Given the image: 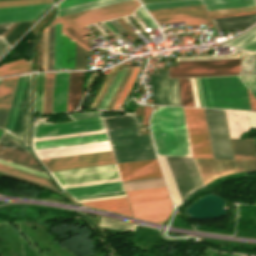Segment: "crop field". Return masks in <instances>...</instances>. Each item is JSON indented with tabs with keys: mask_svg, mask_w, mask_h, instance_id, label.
Here are the masks:
<instances>
[{
	"mask_svg": "<svg viewBox=\"0 0 256 256\" xmlns=\"http://www.w3.org/2000/svg\"><path fill=\"white\" fill-rule=\"evenodd\" d=\"M29 71H31L29 64L23 59H21L14 62L2 64V67H0V76L29 72Z\"/></svg>",
	"mask_w": 256,
	"mask_h": 256,
	"instance_id": "obj_37",
	"label": "crop field"
},
{
	"mask_svg": "<svg viewBox=\"0 0 256 256\" xmlns=\"http://www.w3.org/2000/svg\"><path fill=\"white\" fill-rule=\"evenodd\" d=\"M103 121L106 129L139 125L132 115L103 118Z\"/></svg>",
	"mask_w": 256,
	"mask_h": 256,
	"instance_id": "obj_36",
	"label": "crop field"
},
{
	"mask_svg": "<svg viewBox=\"0 0 256 256\" xmlns=\"http://www.w3.org/2000/svg\"><path fill=\"white\" fill-rule=\"evenodd\" d=\"M225 45L256 51V26Z\"/></svg>",
	"mask_w": 256,
	"mask_h": 256,
	"instance_id": "obj_32",
	"label": "crop field"
},
{
	"mask_svg": "<svg viewBox=\"0 0 256 256\" xmlns=\"http://www.w3.org/2000/svg\"><path fill=\"white\" fill-rule=\"evenodd\" d=\"M0 170L52 186L48 179L0 164Z\"/></svg>",
	"mask_w": 256,
	"mask_h": 256,
	"instance_id": "obj_39",
	"label": "crop field"
},
{
	"mask_svg": "<svg viewBox=\"0 0 256 256\" xmlns=\"http://www.w3.org/2000/svg\"><path fill=\"white\" fill-rule=\"evenodd\" d=\"M153 91L154 104L180 106L177 79H167V71L148 74Z\"/></svg>",
	"mask_w": 256,
	"mask_h": 256,
	"instance_id": "obj_11",
	"label": "crop field"
},
{
	"mask_svg": "<svg viewBox=\"0 0 256 256\" xmlns=\"http://www.w3.org/2000/svg\"><path fill=\"white\" fill-rule=\"evenodd\" d=\"M231 138H239L240 134L247 131L249 126L246 112L225 110ZM236 114V116H233ZM238 123V125H235Z\"/></svg>",
	"mask_w": 256,
	"mask_h": 256,
	"instance_id": "obj_27",
	"label": "crop field"
},
{
	"mask_svg": "<svg viewBox=\"0 0 256 256\" xmlns=\"http://www.w3.org/2000/svg\"><path fill=\"white\" fill-rule=\"evenodd\" d=\"M62 188L121 181L116 165H103L51 172Z\"/></svg>",
	"mask_w": 256,
	"mask_h": 256,
	"instance_id": "obj_6",
	"label": "crop field"
},
{
	"mask_svg": "<svg viewBox=\"0 0 256 256\" xmlns=\"http://www.w3.org/2000/svg\"><path fill=\"white\" fill-rule=\"evenodd\" d=\"M94 26L105 36L107 35L97 24H94Z\"/></svg>",
	"mask_w": 256,
	"mask_h": 256,
	"instance_id": "obj_70",
	"label": "crop field"
},
{
	"mask_svg": "<svg viewBox=\"0 0 256 256\" xmlns=\"http://www.w3.org/2000/svg\"><path fill=\"white\" fill-rule=\"evenodd\" d=\"M253 10H256V6L232 8V9H222V10H212V11H208V12L210 15H214V14L234 13V12L253 11Z\"/></svg>",
	"mask_w": 256,
	"mask_h": 256,
	"instance_id": "obj_54",
	"label": "crop field"
},
{
	"mask_svg": "<svg viewBox=\"0 0 256 256\" xmlns=\"http://www.w3.org/2000/svg\"><path fill=\"white\" fill-rule=\"evenodd\" d=\"M252 5H256L254 0L209 4V5H205V7L207 8V10H212V9H222V8H232V7H242V6H252Z\"/></svg>",
	"mask_w": 256,
	"mask_h": 256,
	"instance_id": "obj_45",
	"label": "crop field"
},
{
	"mask_svg": "<svg viewBox=\"0 0 256 256\" xmlns=\"http://www.w3.org/2000/svg\"><path fill=\"white\" fill-rule=\"evenodd\" d=\"M158 158L161 162L163 173H164L169 191L171 193V196L174 200V203H175L176 207H178L182 203V201H181V198L179 196L178 190L176 188V185H175L174 179L172 177L171 171L169 169L168 163L166 161V158L162 157V156H158Z\"/></svg>",
	"mask_w": 256,
	"mask_h": 256,
	"instance_id": "obj_34",
	"label": "crop field"
},
{
	"mask_svg": "<svg viewBox=\"0 0 256 256\" xmlns=\"http://www.w3.org/2000/svg\"><path fill=\"white\" fill-rule=\"evenodd\" d=\"M210 22H211L210 19H205V20L189 21V22H186V24L187 26H191V25L208 24Z\"/></svg>",
	"mask_w": 256,
	"mask_h": 256,
	"instance_id": "obj_61",
	"label": "crop field"
},
{
	"mask_svg": "<svg viewBox=\"0 0 256 256\" xmlns=\"http://www.w3.org/2000/svg\"><path fill=\"white\" fill-rule=\"evenodd\" d=\"M69 73H55L52 113L66 111Z\"/></svg>",
	"mask_w": 256,
	"mask_h": 256,
	"instance_id": "obj_19",
	"label": "crop field"
},
{
	"mask_svg": "<svg viewBox=\"0 0 256 256\" xmlns=\"http://www.w3.org/2000/svg\"><path fill=\"white\" fill-rule=\"evenodd\" d=\"M51 3V0H14L0 2V8Z\"/></svg>",
	"mask_w": 256,
	"mask_h": 256,
	"instance_id": "obj_44",
	"label": "crop field"
},
{
	"mask_svg": "<svg viewBox=\"0 0 256 256\" xmlns=\"http://www.w3.org/2000/svg\"><path fill=\"white\" fill-rule=\"evenodd\" d=\"M229 1H239V0H202L203 4L229 2Z\"/></svg>",
	"mask_w": 256,
	"mask_h": 256,
	"instance_id": "obj_63",
	"label": "crop field"
},
{
	"mask_svg": "<svg viewBox=\"0 0 256 256\" xmlns=\"http://www.w3.org/2000/svg\"><path fill=\"white\" fill-rule=\"evenodd\" d=\"M82 136V138H80ZM95 139V141H94ZM104 130L33 139V149L107 141ZM109 142L34 150L39 159L107 151Z\"/></svg>",
	"mask_w": 256,
	"mask_h": 256,
	"instance_id": "obj_2",
	"label": "crop field"
},
{
	"mask_svg": "<svg viewBox=\"0 0 256 256\" xmlns=\"http://www.w3.org/2000/svg\"><path fill=\"white\" fill-rule=\"evenodd\" d=\"M17 77L2 79L0 83V127H4Z\"/></svg>",
	"mask_w": 256,
	"mask_h": 256,
	"instance_id": "obj_20",
	"label": "crop field"
},
{
	"mask_svg": "<svg viewBox=\"0 0 256 256\" xmlns=\"http://www.w3.org/2000/svg\"><path fill=\"white\" fill-rule=\"evenodd\" d=\"M75 42L62 34L60 69H74Z\"/></svg>",
	"mask_w": 256,
	"mask_h": 256,
	"instance_id": "obj_30",
	"label": "crop field"
},
{
	"mask_svg": "<svg viewBox=\"0 0 256 256\" xmlns=\"http://www.w3.org/2000/svg\"><path fill=\"white\" fill-rule=\"evenodd\" d=\"M141 3H149V2H160V1H171V0H140Z\"/></svg>",
	"mask_w": 256,
	"mask_h": 256,
	"instance_id": "obj_67",
	"label": "crop field"
},
{
	"mask_svg": "<svg viewBox=\"0 0 256 256\" xmlns=\"http://www.w3.org/2000/svg\"><path fill=\"white\" fill-rule=\"evenodd\" d=\"M181 106L194 107L188 78L178 79Z\"/></svg>",
	"mask_w": 256,
	"mask_h": 256,
	"instance_id": "obj_38",
	"label": "crop field"
},
{
	"mask_svg": "<svg viewBox=\"0 0 256 256\" xmlns=\"http://www.w3.org/2000/svg\"><path fill=\"white\" fill-rule=\"evenodd\" d=\"M140 4L136 1H129L121 4H116L108 7H103L91 11H86L78 14H73L57 19H53L52 23L62 22V33L73 39L85 49L90 51L87 47L91 46L82 37L90 34L89 31L84 30V25L99 21H104L112 18H117L133 13L134 9Z\"/></svg>",
	"mask_w": 256,
	"mask_h": 256,
	"instance_id": "obj_3",
	"label": "crop field"
},
{
	"mask_svg": "<svg viewBox=\"0 0 256 256\" xmlns=\"http://www.w3.org/2000/svg\"><path fill=\"white\" fill-rule=\"evenodd\" d=\"M41 161L49 171L115 163L111 151Z\"/></svg>",
	"mask_w": 256,
	"mask_h": 256,
	"instance_id": "obj_10",
	"label": "crop field"
},
{
	"mask_svg": "<svg viewBox=\"0 0 256 256\" xmlns=\"http://www.w3.org/2000/svg\"><path fill=\"white\" fill-rule=\"evenodd\" d=\"M50 5L0 9V23L36 20Z\"/></svg>",
	"mask_w": 256,
	"mask_h": 256,
	"instance_id": "obj_17",
	"label": "crop field"
},
{
	"mask_svg": "<svg viewBox=\"0 0 256 256\" xmlns=\"http://www.w3.org/2000/svg\"><path fill=\"white\" fill-rule=\"evenodd\" d=\"M237 172L256 169L254 140L231 139Z\"/></svg>",
	"mask_w": 256,
	"mask_h": 256,
	"instance_id": "obj_16",
	"label": "crop field"
},
{
	"mask_svg": "<svg viewBox=\"0 0 256 256\" xmlns=\"http://www.w3.org/2000/svg\"><path fill=\"white\" fill-rule=\"evenodd\" d=\"M87 50L76 43L75 69H86Z\"/></svg>",
	"mask_w": 256,
	"mask_h": 256,
	"instance_id": "obj_46",
	"label": "crop field"
},
{
	"mask_svg": "<svg viewBox=\"0 0 256 256\" xmlns=\"http://www.w3.org/2000/svg\"><path fill=\"white\" fill-rule=\"evenodd\" d=\"M238 54H242L240 74L256 75V53L245 52L243 50L235 49L234 53L221 56H202V57H179V60H196V59H224V58H238Z\"/></svg>",
	"mask_w": 256,
	"mask_h": 256,
	"instance_id": "obj_18",
	"label": "crop field"
},
{
	"mask_svg": "<svg viewBox=\"0 0 256 256\" xmlns=\"http://www.w3.org/2000/svg\"><path fill=\"white\" fill-rule=\"evenodd\" d=\"M83 73H70L67 111L77 108L80 102Z\"/></svg>",
	"mask_w": 256,
	"mask_h": 256,
	"instance_id": "obj_29",
	"label": "crop field"
},
{
	"mask_svg": "<svg viewBox=\"0 0 256 256\" xmlns=\"http://www.w3.org/2000/svg\"><path fill=\"white\" fill-rule=\"evenodd\" d=\"M140 19H142L151 29L157 28L156 24L152 21V19L149 17V15L146 13V11L143 9V7H140L135 12Z\"/></svg>",
	"mask_w": 256,
	"mask_h": 256,
	"instance_id": "obj_56",
	"label": "crop field"
},
{
	"mask_svg": "<svg viewBox=\"0 0 256 256\" xmlns=\"http://www.w3.org/2000/svg\"><path fill=\"white\" fill-rule=\"evenodd\" d=\"M217 30L249 27L256 23V14L212 19Z\"/></svg>",
	"mask_w": 256,
	"mask_h": 256,
	"instance_id": "obj_26",
	"label": "crop field"
},
{
	"mask_svg": "<svg viewBox=\"0 0 256 256\" xmlns=\"http://www.w3.org/2000/svg\"><path fill=\"white\" fill-rule=\"evenodd\" d=\"M67 116L74 122L52 124L46 123L45 118L38 119L34 123L33 138L104 129L101 111L80 112Z\"/></svg>",
	"mask_w": 256,
	"mask_h": 256,
	"instance_id": "obj_5",
	"label": "crop field"
},
{
	"mask_svg": "<svg viewBox=\"0 0 256 256\" xmlns=\"http://www.w3.org/2000/svg\"><path fill=\"white\" fill-rule=\"evenodd\" d=\"M28 75L18 77L14 95L12 98L11 106L7 116L4 129L12 135L15 120L19 110L20 102L24 92L25 84ZM31 84L32 74L29 75L25 92L23 95L22 103L18 113L17 121L14 128L13 137L20 141L22 144L28 146V134H29V120H30V104H31Z\"/></svg>",
	"mask_w": 256,
	"mask_h": 256,
	"instance_id": "obj_4",
	"label": "crop field"
},
{
	"mask_svg": "<svg viewBox=\"0 0 256 256\" xmlns=\"http://www.w3.org/2000/svg\"><path fill=\"white\" fill-rule=\"evenodd\" d=\"M130 204L170 199L166 187L126 192Z\"/></svg>",
	"mask_w": 256,
	"mask_h": 256,
	"instance_id": "obj_22",
	"label": "crop field"
},
{
	"mask_svg": "<svg viewBox=\"0 0 256 256\" xmlns=\"http://www.w3.org/2000/svg\"><path fill=\"white\" fill-rule=\"evenodd\" d=\"M115 35L119 34V32L114 28V26L109 22H103Z\"/></svg>",
	"mask_w": 256,
	"mask_h": 256,
	"instance_id": "obj_64",
	"label": "crop field"
},
{
	"mask_svg": "<svg viewBox=\"0 0 256 256\" xmlns=\"http://www.w3.org/2000/svg\"><path fill=\"white\" fill-rule=\"evenodd\" d=\"M125 1H129V0H99V1L91 2V3H87V4L75 6V7L59 9L57 10V15L55 18L90 10V9H95L103 6H108V5H112L120 2H125Z\"/></svg>",
	"mask_w": 256,
	"mask_h": 256,
	"instance_id": "obj_31",
	"label": "crop field"
},
{
	"mask_svg": "<svg viewBox=\"0 0 256 256\" xmlns=\"http://www.w3.org/2000/svg\"><path fill=\"white\" fill-rule=\"evenodd\" d=\"M239 77L256 98V77H250V76H239Z\"/></svg>",
	"mask_w": 256,
	"mask_h": 256,
	"instance_id": "obj_55",
	"label": "crop field"
},
{
	"mask_svg": "<svg viewBox=\"0 0 256 256\" xmlns=\"http://www.w3.org/2000/svg\"><path fill=\"white\" fill-rule=\"evenodd\" d=\"M133 68L129 67L126 74L124 75L122 81L120 82L118 88L116 89L114 95L112 96L110 102L108 103L106 109H112L113 105L115 104L117 98L119 97L120 93L122 92L131 72H132Z\"/></svg>",
	"mask_w": 256,
	"mask_h": 256,
	"instance_id": "obj_48",
	"label": "crop field"
},
{
	"mask_svg": "<svg viewBox=\"0 0 256 256\" xmlns=\"http://www.w3.org/2000/svg\"><path fill=\"white\" fill-rule=\"evenodd\" d=\"M0 159L43 172L35 159L0 149Z\"/></svg>",
	"mask_w": 256,
	"mask_h": 256,
	"instance_id": "obj_33",
	"label": "crop field"
},
{
	"mask_svg": "<svg viewBox=\"0 0 256 256\" xmlns=\"http://www.w3.org/2000/svg\"><path fill=\"white\" fill-rule=\"evenodd\" d=\"M91 1H95V0H63L57 5V9L75 6V5H79V4H83Z\"/></svg>",
	"mask_w": 256,
	"mask_h": 256,
	"instance_id": "obj_57",
	"label": "crop field"
},
{
	"mask_svg": "<svg viewBox=\"0 0 256 256\" xmlns=\"http://www.w3.org/2000/svg\"><path fill=\"white\" fill-rule=\"evenodd\" d=\"M126 69L127 68L124 67L122 71L118 72L117 76L115 77L114 81L112 82L111 86L109 87L107 93L105 94V96L102 99L101 103L99 104L98 108L105 109L107 103L109 102L111 96L113 95L115 89L117 88L119 82L121 81Z\"/></svg>",
	"mask_w": 256,
	"mask_h": 256,
	"instance_id": "obj_43",
	"label": "crop field"
},
{
	"mask_svg": "<svg viewBox=\"0 0 256 256\" xmlns=\"http://www.w3.org/2000/svg\"><path fill=\"white\" fill-rule=\"evenodd\" d=\"M183 110L193 157L213 158L203 109Z\"/></svg>",
	"mask_w": 256,
	"mask_h": 256,
	"instance_id": "obj_9",
	"label": "crop field"
},
{
	"mask_svg": "<svg viewBox=\"0 0 256 256\" xmlns=\"http://www.w3.org/2000/svg\"><path fill=\"white\" fill-rule=\"evenodd\" d=\"M79 204L92 207V208H97L101 210L112 211V212H116V213H120L128 216H132L126 197L83 202Z\"/></svg>",
	"mask_w": 256,
	"mask_h": 256,
	"instance_id": "obj_21",
	"label": "crop field"
},
{
	"mask_svg": "<svg viewBox=\"0 0 256 256\" xmlns=\"http://www.w3.org/2000/svg\"><path fill=\"white\" fill-rule=\"evenodd\" d=\"M9 47L8 45L5 43V41L2 39V37H0V55L7 50Z\"/></svg>",
	"mask_w": 256,
	"mask_h": 256,
	"instance_id": "obj_62",
	"label": "crop field"
},
{
	"mask_svg": "<svg viewBox=\"0 0 256 256\" xmlns=\"http://www.w3.org/2000/svg\"><path fill=\"white\" fill-rule=\"evenodd\" d=\"M72 197L124 191L121 182L65 189Z\"/></svg>",
	"mask_w": 256,
	"mask_h": 256,
	"instance_id": "obj_23",
	"label": "crop field"
},
{
	"mask_svg": "<svg viewBox=\"0 0 256 256\" xmlns=\"http://www.w3.org/2000/svg\"><path fill=\"white\" fill-rule=\"evenodd\" d=\"M61 23L56 24L54 69H59Z\"/></svg>",
	"mask_w": 256,
	"mask_h": 256,
	"instance_id": "obj_50",
	"label": "crop field"
},
{
	"mask_svg": "<svg viewBox=\"0 0 256 256\" xmlns=\"http://www.w3.org/2000/svg\"><path fill=\"white\" fill-rule=\"evenodd\" d=\"M91 96H92V94H86V96H85V98L83 99V101L81 102V106H86L87 105V103H88V101L90 100V98H91Z\"/></svg>",
	"mask_w": 256,
	"mask_h": 256,
	"instance_id": "obj_66",
	"label": "crop field"
},
{
	"mask_svg": "<svg viewBox=\"0 0 256 256\" xmlns=\"http://www.w3.org/2000/svg\"><path fill=\"white\" fill-rule=\"evenodd\" d=\"M117 165L123 181L162 176L157 159Z\"/></svg>",
	"mask_w": 256,
	"mask_h": 256,
	"instance_id": "obj_13",
	"label": "crop field"
},
{
	"mask_svg": "<svg viewBox=\"0 0 256 256\" xmlns=\"http://www.w3.org/2000/svg\"><path fill=\"white\" fill-rule=\"evenodd\" d=\"M154 19L206 13L203 5L149 11Z\"/></svg>",
	"mask_w": 256,
	"mask_h": 256,
	"instance_id": "obj_28",
	"label": "crop field"
},
{
	"mask_svg": "<svg viewBox=\"0 0 256 256\" xmlns=\"http://www.w3.org/2000/svg\"><path fill=\"white\" fill-rule=\"evenodd\" d=\"M13 23L0 24V29L9 28Z\"/></svg>",
	"mask_w": 256,
	"mask_h": 256,
	"instance_id": "obj_68",
	"label": "crop field"
},
{
	"mask_svg": "<svg viewBox=\"0 0 256 256\" xmlns=\"http://www.w3.org/2000/svg\"><path fill=\"white\" fill-rule=\"evenodd\" d=\"M130 206L134 217L165 224L170 214L172 204L170 200H166Z\"/></svg>",
	"mask_w": 256,
	"mask_h": 256,
	"instance_id": "obj_14",
	"label": "crop field"
},
{
	"mask_svg": "<svg viewBox=\"0 0 256 256\" xmlns=\"http://www.w3.org/2000/svg\"><path fill=\"white\" fill-rule=\"evenodd\" d=\"M112 149L153 145L151 135H139L138 126L106 130Z\"/></svg>",
	"mask_w": 256,
	"mask_h": 256,
	"instance_id": "obj_12",
	"label": "crop field"
},
{
	"mask_svg": "<svg viewBox=\"0 0 256 256\" xmlns=\"http://www.w3.org/2000/svg\"><path fill=\"white\" fill-rule=\"evenodd\" d=\"M172 109H173L181 154L182 156L192 157L184 115H183V110L182 108H177V107H172Z\"/></svg>",
	"mask_w": 256,
	"mask_h": 256,
	"instance_id": "obj_25",
	"label": "crop field"
},
{
	"mask_svg": "<svg viewBox=\"0 0 256 256\" xmlns=\"http://www.w3.org/2000/svg\"><path fill=\"white\" fill-rule=\"evenodd\" d=\"M0 81H1V79H0Z\"/></svg>",
	"mask_w": 256,
	"mask_h": 256,
	"instance_id": "obj_73",
	"label": "crop field"
},
{
	"mask_svg": "<svg viewBox=\"0 0 256 256\" xmlns=\"http://www.w3.org/2000/svg\"><path fill=\"white\" fill-rule=\"evenodd\" d=\"M55 24L49 25L48 69H53Z\"/></svg>",
	"mask_w": 256,
	"mask_h": 256,
	"instance_id": "obj_49",
	"label": "crop field"
},
{
	"mask_svg": "<svg viewBox=\"0 0 256 256\" xmlns=\"http://www.w3.org/2000/svg\"><path fill=\"white\" fill-rule=\"evenodd\" d=\"M99 225L116 230H133L135 224L102 217Z\"/></svg>",
	"mask_w": 256,
	"mask_h": 256,
	"instance_id": "obj_40",
	"label": "crop field"
},
{
	"mask_svg": "<svg viewBox=\"0 0 256 256\" xmlns=\"http://www.w3.org/2000/svg\"><path fill=\"white\" fill-rule=\"evenodd\" d=\"M117 67H118V66H116V67H114V68L112 69L110 75L108 76L107 80L105 81L104 85L102 86L100 92L98 93L97 97L95 98L94 102L92 103L91 108H93L95 102L97 101L98 97L100 96V94H101L102 90L104 89L105 85L107 84L109 78L111 77L112 73L116 71Z\"/></svg>",
	"mask_w": 256,
	"mask_h": 256,
	"instance_id": "obj_60",
	"label": "crop field"
},
{
	"mask_svg": "<svg viewBox=\"0 0 256 256\" xmlns=\"http://www.w3.org/2000/svg\"><path fill=\"white\" fill-rule=\"evenodd\" d=\"M121 33L125 32V30L121 27V25L116 21L112 20L110 21Z\"/></svg>",
	"mask_w": 256,
	"mask_h": 256,
	"instance_id": "obj_65",
	"label": "crop field"
},
{
	"mask_svg": "<svg viewBox=\"0 0 256 256\" xmlns=\"http://www.w3.org/2000/svg\"><path fill=\"white\" fill-rule=\"evenodd\" d=\"M196 107L250 110L238 76L190 78Z\"/></svg>",
	"mask_w": 256,
	"mask_h": 256,
	"instance_id": "obj_1",
	"label": "crop field"
},
{
	"mask_svg": "<svg viewBox=\"0 0 256 256\" xmlns=\"http://www.w3.org/2000/svg\"><path fill=\"white\" fill-rule=\"evenodd\" d=\"M54 73H45L43 93V113H51Z\"/></svg>",
	"mask_w": 256,
	"mask_h": 256,
	"instance_id": "obj_35",
	"label": "crop field"
},
{
	"mask_svg": "<svg viewBox=\"0 0 256 256\" xmlns=\"http://www.w3.org/2000/svg\"><path fill=\"white\" fill-rule=\"evenodd\" d=\"M18 23H15L4 35L3 37L5 38L9 33L10 31L17 25Z\"/></svg>",
	"mask_w": 256,
	"mask_h": 256,
	"instance_id": "obj_69",
	"label": "crop field"
},
{
	"mask_svg": "<svg viewBox=\"0 0 256 256\" xmlns=\"http://www.w3.org/2000/svg\"><path fill=\"white\" fill-rule=\"evenodd\" d=\"M122 196H126L124 192L112 193V194H103V195H94V196H86V197H77V198H74V199L77 200L78 202H82V201H90V200L122 197Z\"/></svg>",
	"mask_w": 256,
	"mask_h": 256,
	"instance_id": "obj_52",
	"label": "crop field"
},
{
	"mask_svg": "<svg viewBox=\"0 0 256 256\" xmlns=\"http://www.w3.org/2000/svg\"><path fill=\"white\" fill-rule=\"evenodd\" d=\"M240 59L177 62L169 78L238 74Z\"/></svg>",
	"mask_w": 256,
	"mask_h": 256,
	"instance_id": "obj_8",
	"label": "crop field"
},
{
	"mask_svg": "<svg viewBox=\"0 0 256 256\" xmlns=\"http://www.w3.org/2000/svg\"><path fill=\"white\" fill-rule=\"evenodd\" d=\"M198 4H201L200 0H185V1L149 4L144 6L146 7L147 10H152V9L180 7V6H189V5H198Z\"/></svg>",
	"mask_w": 256,
	"mask_h": 256,
	"instance_id": "obj_41",
	"label": "crop field"
},
{
	"mask_svg": "<svg viewBox=\"0 0 256 256\" xmlns=\"http://www.w3.org/2000/svg\"><path fill=\"white\" fill-rule=\"evenodd\" d=\"M205 18H209L207 14L177 17V18H168V19H159V20H156V21L158 22V24H163V23L197 20V19H205Z\"/></svg>",
	"mask_w": 256,
	"mask_h": 256,
	"instance_id": "obj_51",
	"label": "crop field"
},
{
	"mask_svg": "<svg viewBox=\"0 0 256 256\" xmlns=\"http://www.w3.org/2000/svg\"><path fill=\"white\" fill-rule=\"evenodd\" d=\"M151 128L158 155L181 156L171 107L158 106Z\"/></svg>",
	"mask_w": 256,
	"mask_h": 256,
	"instance_id": "obj_7",
	"label": "crop field"
},
{
	"mask_svg": "<svg viewBox=\"0 0 256 256\" xmlns=\"http://www.w3.org/2000/svg\"><path fill=\"white\" fill-rule=\"evenodd\" d=\"M0 144L1 145H4V146H8V147H11V148H14V149H17V150H20V151H24V152H27L29 153L28 150H26L25 148H23L18 142H16L13 138L7 136V135H3L1 138H0Z\"/></svg>",
	"mask_w": 256,
	"mask_h": 256,
	"instance_id": "obj_53",
	"label": "crop field"
},
{
	"mask_svg": "<svg viewBox=\"0 0 256 256\" xmlns=\"http://www.w3.org/2000/svg\"><path fill=\"white\" fill-rule=\"evenodd\" d=\"M2 133H3V132H0V136H1Z\"/></svg>",
	"mask_w": 256,
	"mask_h": 256,
	"instance_id": "obj_72",
	"label": "crop field"
},
{
	"mask_svg": "<svg viewBox=\"0 0 256 256\" xmlns=\"http://www.w3.org/2000/svg\"><path fill=\"white\" fill-rule=\"evenodd\" d=\"M44 73H38L35 87L34 112H41Z\"/></svg>",
	"mask_w": 256,
	"mask_h": 256,
	"instance_id": "obj_42",
	"label": "crop field"
},
{
	"mask_svg": "<svg viewBox=\"0 0 256 256\" xmlns=\"http://www.w3.org/2000/svg\"><path fill=\"white\" fill-rule=\"evenodd\" d=\"M139 69L140 68H137V67L134 68V70H133V72H132V74H131L123 92L121 93V95H120L119 99L117 100L116 104L114 105L113 109H119L120 105L122 104L123 100L125 99L126 95L128 94Z\"/></svg>",
	"mask_w": 256,
	"mask_h": 256,
	"instance_id": "obj_47",
	"label": "crop field"
},
{
	"mask_svg": "<svg viewBox=\"0 0 256 256\" xmlns=\"http://www.w3.org/2000/svg\"><path fill=\"white\" fill-rule=\"evenodd\" d=\"M250 127L256 128V112H247Z\"/></svg>",
	"mask_w": 256,
	"mask_h": 256,
	"instance_id": "obj_59",
	"label": "crop field"
},
{
	"mask_svg": "<svg viewBox=\"0 0 256 256\" xmlns=\"http://www.w3.org/2000/svg\"><path fill=\"white\" fill-rule=\"evenodd\" d=\"M7 29L0 30V35H2Z\"/></svg>",
	"mask_w": 256,
	"mask_h": 256,
	"instance_id": "obj_71",
	"label": "crop field"
},
{
	"mask_svg": "<svg viewBox=\"0 0 256 256\" xmlns=\"http://www.w3.org/2000/svg\"><path fill=\"white\" fill-rule=\"evenodd\" d=\"M0 163H3V164H6V165H9V166H13V167H16V168H19V169H22V170H26V171H29V172H32V173H36V174H39V175L48 177V176H47L46 174H44V173L37 172V171L31 170V169H28V168H25V167H21V166L12 164V163H8V162H5V161H2V160H0Z\"/></svg>",
	"mask_w": 256,
	"mask_h": 256,
	"instance_id": "obj_58",
	"label": "crop field"
},
{
	"mask_svg": "<svg viewBox=\"0 0 256 256\" xmlns=\"http://www.w3.org/2000/svg\"><path fill=\"white\" fill-rule=\"evenodd\" d=\"M203 185L213 179L236 172L234 161L194 158Z\"/></svg>",
	"mask_w": 256,
	"mask_h": 256,
	"instance_id": "obj_15",
	"label": "crop field"
},
{
	"mask_svg": "<svg viewBox=\"0 0 256 256\" xmlns=\"http://www.w3.org/2000/svg\"><path fill=\"white\" fill-rule=\"evenodd\" d=\"M117 163L156 158L153 146L113 151Z\"/></svg>",
	"mask_w": 256,
	"mask_h": 256,
	"instance_id": "obj_24",
	"label": "crop field"
}]
</instances>
